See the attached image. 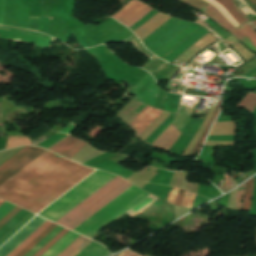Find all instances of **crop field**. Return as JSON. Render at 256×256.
<instances>
[{
	"label": "crop field",
	"mask_w": 256,
	"mask_h": 256,
	"mask_svg": "<svg viewBox=\"0 0 256 256\" xmlns=\"http://www.w3.org/2000/svg\"><path fill=\"white\" fill-rule=\"evenodd\" d=\"M150 201H152V199L147 197L145 200H143L139 205L134 207L132 210L136 211V210L142 208L143 206H145L146 204H148Z\"/></svg>",
	"instance_id": "obj_44"
},
{
	"label": "crop field",
	"mask_w": 256,
	"mask_h": 256,
	"mask_svg": "<svg viewBox=\"0 0 256 256\" xmlns=\"http://www.w3.org/2000/svg\"><path fill=\"white\" fill-rule=\"evenodd\" d=\"M244 188H245V184L241 185L240 187H238L237 190V209L241 210V199L244 193Z\"/></svg>",
	"instance_id": "obj_39"
},
{
	"label": "crop field",
	"mask_w": 256,
	"mask_h": 256,
	"mask_svg": "<svg viewBox=\"0 0 256 256\" xmlns=\"http://www.w3.org/2000/svg\"><path fill=\"white\" fill-rule=\"evenodd\" d=\"M232 120L231 117H217L216 121Z\"/></svg>",
	"instance_id": "obj_48"
},
{
	"label": "crop field",
	"mask_w": 256,
	"mask_h": 256,
	"mask_svg": "<svg viewBox=\"0 0 256 256\" xmlns=\"http://www.w3.org/2000/svg\"><path fill=\"white\" fill-rule=\"evenodd\" d=\"M23 144H31V142L27 139L26 136H9L5 149Z\"/></svg>",
	"instance_id": "obj_28"
},
{
	"label": "crop field",
	"mask_w": 256,
	"mask_h": 256,
	"mask_svg": "<svg viewBox=\"0 0 256 256\" xmlns=\"http://www.w3.org/2000/svg\"><path fill=\"white\" fill-rule=\"evenodd\" d=\"M229 187H230V173L228 172L225 174V187H224L223 193L229 190Z\"/></svg>",
	"instance_id": "obj_43"
},
{
	"label": "crop field",
	"mask_w": 256,
	"mask_h": 256,
	"mask_svg": "<svg viewBox=\"0 0 256 256\" xmlns=\"http://www.w3.org/2000/svg\"><path fill=\"white\" fill-rule=\"evenodd\" d=\"M183 192H184L183 190H180V189H179V191H178V193H177V197H176V200H175V204H174V205H177V206L180 205V201H181V199H182Z\"/></svg>",
	"instance_id": "obj_46"
},
{
	"label": "crop field",
	"mask_w": 256,
	"mask_h": 256,
	"mask_svg": "<svg viewBox=\"0 0 256 256\" xmlns=\"http://www.w3.org/2000/svg\"><path fill=\"white\" fill-rule=\"evenodd\" d=\"M254 186V178L246 182L245 194L243 197L242 210L248 211L252 200V191Z\"/></svg>",
	"instance_id": "obj_23"
},
{
	"label": "crop field",
	"mask_w": 256,
	"mask_h": 256,
	"mask_svg": "<svg viewBox=\"0 0 256 256\" xmlns=\"http://www.w3.org/2000/svg\"><path fill=\"white\" fill-rule=\"evenodd\" d=\"M39 19H40V17H30L28 28L37 30L38 24H39Z\"/></svg>",
	"instance_id": "obj_40"
},
{
	"label": "crop field",
	"mask_w": 256,
	"mask_h": 256,
	"mask_svg": "<svg viewBox=\"0 0 256 256\" xmlns=\"http://www.w3.org/2000/svg\"><path fill=\"white\" fill-rule=\"evenodd\" d=\"M4 203V201L0 200V205H2ZM14 207V205L9 204L7 202H5L2 206H0V219L12 208ZM10 212V211H9Z\"/></svg>",
	"instance_id": "obj_37"
},
{
	"label": "crop field",
	"mask_w": 256,
	"mask_h": 256,
	"mask_svg": "<svg viewBox=\"0 0 256 256\" xmlns=\"http://www.w3.org/2000/svg\"><path fill=\"white\" fill-rule=\"evenodd\" d=\"M189 24L190 23L184 22L181 20L174 27H172L170 30H168L165 34H163L161 37H159L153 44H151L150 46H148L146 48L153 53L154 51H156L158 48H160L169 39H171L174 35H176L178 32H180L182 29H184Z\"/></svg>",
	"instance_id": "obj_14"
},
{
	"label": "crop field",
	"mask_w": 256,
	"mask_h": 256,
	"mask_svg": "<svg viewBox=\"0 0 256 256\" xmlns=\"http://www.w3.org/2000/svg\"><path fill=\"white\" fill-rule=\"evenodd\" d=\"M147 195V193L132 185L118 197L104 206L101 210L91 216L88 220L74 229V231L87 237H91L100 228L131 208Z\"/></svg>",
	"instance_id": "obj_3"
},
{
	"label": "crop field",
	"mask_w": 256,
	"mask_h": 256,
	"mask_svg": "<svg viewBox=\"0 0 256 256\" xmlns=\"http://www.w3.org/2000/svg\"><path fill=\"white\" fill-rule=\"evenodd\" d=\"M219 105H220V101L218 100L212 118L210 119L209 123L207 124V126H206V128H205V130H204V132H203V134H202V136H201V138H200L199 141L196 143V145L194 146V148L192 149V151L189 153V155H195V154L198 152L201 143L203 142V140H204V138H205V136H206V134H207V132H208V130H209L211 124H212V122L214 121V119H215V117H216V115H217V113H218Z\"/></svg>",
	"instance_id": "obj_24"
},
{
	"label": "crop field",
	"mask_w": 256,
	"mask_h": 256,
	"mask_svg": "<svg viewBox=\"0 0 256 256\" xmlns=\"http://www.w3.org/2000/svg\"><path fill=\"white\" fill-rule=\"evenodd\" d=\"M208 32L209 31L202 27L199 28L197 31L184 39L176 48H174L172 51L162 57V59L172 63L179 55H181L186 49H188L191 45H193L197 40H199Z\"/></svg>",
	"instance_id": "obj_11"
},
{
	"label": "crop field",
	"mask_w": 256,
	"mask_h": 256,
	"mask_svg": "<svg viewBox=\"0 0 256 256\" xmlns=\"http://www.w3.org/2000/svg\"><path fill=\"white\" fill-rule=\"evenodd\" d=\"M129 186L128 181L116 176L56 223L73 230Z\"/></svg>",
	"instance_id": "obj_2"
},
{
	"label": "crop field",
	"mask_w": 256,
	"mask_h": 256,
	"mask_svg": "<svg viewBox=\"0 0 256 256\" xmlns=\"http://www.w3.org/2000/svg\"><path fill=\"white\" fill-rule=\"evenodd\" d=\"M161 113V110L149 106L143 109L129 125L136 137L138 138Z\"/></svg>",
	"instance_id": "obj_10"
},
{
	"label": "crop field",
	"mask_w": 256,
	"mask_h": 256,
	"mask_svg": "<svg viewBox=\"0 0 256 256\" xmlns=\"http://www.w3.org/2000/svg\"><path fill=\"white\" fill-rule=\"evenodd\" d=\"M253 4L256 3V0H250Z\"/></svg>",
	"instance_id": "obj_50"
},
{
	"label": "crop field",
	"mask_w": 256,
	"mask_h": 256,
	"mask_svg": "<svg viewBox=\"0 0 256 256\" xmlns=\"http://www.w3.org/2000/svg\"><path fill=\"white\" fill-rule=\"evenodd\" d=\"M178 21V19L170 18L164 24H162L157 30H155L152 34L147 36L142 40L143 45L146 47L149 44L153 43L159 36L165 33L168 29L174 26Z\"/></svg>",
	"instance_id": "obj_15"
},
{
	"label": "crop field",
	"mask_w": 256,
	"mask_h": 256,
	"mask_svg": "<svg viewBox=\"0 0 256 256\" xmlns=\"http://www.w3.org/2000/svg\"><path fill=\"white\" fill-rule=\"evenodd\" d=\"M57 224L52 223L46 228L37 238H35L27 247H25L17 256H23L26 254L34 245H36L43 237H45Z\"/></svg>",
	"instance_id": "obj_26"
},
{
	"label": "crop field",
	"mask_w": 256,
	"mask_h": 256,
	"mask_svg": "<svg viewBox=\"0 0 256 256\" xmlns=\"http://www.w3.org/2000/svg\"><path fill=\"white\" fill-rule=\"evenodd\" d=\"M76 233L69 232L66 234L62 239H60L55 245H53L47 252H45L42 256H51L53 255L58 249H60L66 242H68ZM80 235H76L73 237L67 244H65L60 250H58L53 256H57L60 252H62L68 245H70L76 238Z\"/></svg>",
	"instance_id": "obj_16"
},
{
	"label": "crop field",
	"mask_w": 256,
	"mask_h": 256,
	"mask_svg": "<svg viewBox=\"0 0 256 256\" xmlns=\"http://www.w3.org/2000/svg\"><path fill=\"white\" fill-rule=\"evenodd\" d=\"M77 141H78V139L69 136V137L65 138L64 140L51 146L48 149L63 156L66 152H68L74 146V144Z\"/></svg>",
	"instance_id": "obj_19"
},
{
	"label": "crop field",
	"mask_w": 256,
	"mask_h": 256,
	"mask_svg": "<svg viewBox=\"0 0 256 256\" xmlns=\"http://www.w3.org/2000/svg\"><path fill=\"white\" fill-rule=\"evenodd\" d=\"M236 135L230 136H208L207 140L212 141H234Z\"/></svg>",
	"instance_id": "obj_38"
},
{
	"label": "crop field",
	"mask_w": 256,
	"mask_h": 256,
	"mask_svg": "<svg viewBox=\"0 0 256 256\" xmlns=\"http://www.w3.org/2000/svg\"><path fill=\"white\" fill-rule=\"evenodd\" d=\"M180 134L181 133L170 124L151 145L168 150Z\"/></svg>",
	"instance_id": "obj_13"
},
{
	"label": "crop field",
	"mask_w": 256,
	"mask_h": 256,
	"mask_svg": "<svg viewBox=\"0 0 256 256\" xmlns=\"http://www.w3.org/2000/svg\"><path fill=\"white\" fill-rule=\"evenodd\" d=\"M158 11L151 10L149 13H147L143 18H141L138 22H136L134 25L129 27L132 31L136 30L138 27H140L142 24H144L147 20H149L153 15H155Z\"/></svg>",
	"instance_id": "obj_32"
},
{
	"label": "crop field",
	"mask_w": 256,
	"mask_h": 256,
	"mask_svg": "<svg viewBox=\"0 0 256 256\" xmlns=\"http://www.w3.org/2000/svg\"><path fill=\"white\" fill-rule=\"evenodd\" d=\"M0 37L18 42L35 43L39 47H50L52 38L27 29L0 26Z\"/></svg>",
	"instance_id": "obj_7"
},
{
	"label": "crop field",
	"mask_w": 256,
	"mask_h": 256,
	"mask_svg": "<svg viewBox=\"0 0 256 256\" xmlns=\"http://www.w3.org/2000/svg\"><path fill=\"white\" fill-rule=\"evenodd\" d=\"M208 9H206V8ZM204 8L200 9L203 13L207 14L208 16H210L212 19H214L215 21H217L220 25H222L224 28L228 29L229 31H231L234 35H236L241 41L245 42L249 39H251L252 41H254L256 43V32L254 31L256 29V21H252V22H247V24L249 26H251L252 28H250L246 23L243 24L242 26L239 27V29L236 31L221 15L220 13L214 9L212 6H210L209 4L206 5ZM215 13L217 16L212 15L211 13ZM206 15V16H207ZM236 37V38H237ZM237 38V39H238ZM238 39V40H239ZM251 40L243 43L245 45H247L248 47H250L253 51L256 52V44L255 46L253 45L254 42H252Z\"/></svg>",
	"instance_id": "obj_6"
},
{
	"label": "crop field",
	"mask_w": 256,
	"mask_h": 256,
	"mask_svg": "<svg viewBox=\"0 0 256 256\" xmlns=\"http://www.w3.org/2000/svg\"><path fill=\"white\" fill-rule=\"evenodd\" d=\"M209 4L213 5L221 14L222 16L235 28L239 26L236 20L229 14V12L218 2L215 0H205ZM243 12L245 15L251 13L253 16L256 15L250 7L246 4L244 0H232Z\"/></svg>",
	"instance_id": "obj_12"
},
{
	"label": "crop field",
	"mask_w": 256,
	"mask_h": 256,
	"mask_svg": "<svg viewBox=\"0 0 256 256\" xmlns=\"http://www.w3.org/2000/svg\"><path fill=\"white\" fill-rule=\"evenodd\" d=\"M123 43H129V44H133L136 49L141 52L143 55H145L147 58L149 56H151L152 54L149 53L144 47L143 45L140 43V41L135 38L133 35L128 37L127 39H125L124 41H122Z\"/></svg>",
	"instance_id": "obj_29"
},
{
	"label": "crop field",
	"mask_w": 256,
	"mask_h": 256,
	"mask_svg": "<svg viewBox=\"0 0 256 256\" xmlns=\"http://www.w3.org/2000/svg\"><path fill=\"white\" fill-rule=\"evenodd\" d=\"M87 238L80 236L77 240H75L69 247H67L61 254L58 256H75L80 250L77 248L84 243ZM91 240H87L84 244H82L79 249H83Z\"/></svg>",
	"instance_id": "obj_20"
},
{
	"label": "crop field",
	"mask_w": 256,
	"mask_h": 256,
	"mask_svg": "<svg viewBox=\"0 0 256 256\" xmlns=\"http://www.w3.org/2000/svg\"><path fill=\"white\" fill-rule=\"evenodd\" d=\"M96 172H94L93 174H95ZM92 175H90L89 177H91ZM113 177H115V175H112L104 171H99L90 179L86 178L85 180L87 179L88 180L86 182H84L85 180L82 181L81 183L84 182L82 185H80L81 183L78 184L77 186L80 185L78 188H76L77 186L74 187L73 189L76 188L74 191H72L73 189L70 190L69 192L72 191L70 194H68L69 192H67L65 194V195L68 194L66 197H64L65 195H63L61 197V198L64 197L62 200H60L61 198H59L57 200V201L60 200L58 203H56L57 201H55L53 203V204L56 203L54 206H52L53 204H51L49 206V207L52 206L50 209H48L49 207H47L45 209V210L48 209L46 212H44L45 210H43L41 213L43 212L44 213L41 216H44L55 222L64 214H66L68 211H70L72 208H74L76 205H78L80 202H82L85 198H87L89 195H91L93 192H95L97 189H99L101 186H103L105 183L111 180ZM41 213H39V215Z\"/></svg>",
	"instance_id": "obj_4"
},
{
	"label": "crop field",
	"mask_w": 256,
	"mask_h": 256,
	"mask_svg": "<svg viewBox=\"0 0 256 256\" xmlns=\"http://www.w3.org/2000/svg\"><path fill=\"white\" fill-rule=\"evenodd\" d=\"M48 151L3 186L0 197L38 213L94 169Z\"/></svg>",
	"instance_id": "obj_1"
},
{
	"label": "crop field",
	"mask_w": 256,
	"mask_h": 256,
	"mask_svg": "<svg viewBox=\"0 0 256 256\" xmlns=\"http://www.w3.org/2000/svg\"><path fill=\"white\" fill-rule=\"evenodd\" d=\"M177 190H178L177 188L173 187L172 192L168 193V197H167V201H166L167 203L173 205L174 200H175V196H176V193H177Z\"/></svg>",
	"instance_id": "obj_41"
},
{
	"label": "crop field",
	"mask_w": 256,
	"mask_h": 256,
	"mask_svg": "<svg viewBox=\"0 0 256 256\" xmlns=\"http://www.w3.org/2000/svg\"><path fill=\"white\" fill-rule=\"evenodd\" d=\"M50 16L41 17L38 31L47 34V28L49 24Z\"/></svg>",
	"instance_id": "obj_36"
},
{
	"label": "crop field",
	"mask_w": 256,
	"mask_h": 256,
	"mask_svg": "<svg viewBox=\"0 0 256 256\" xmlns=\"http://www.w3.org/2000/svg\"><path fill=\"white\" fill-rule=\"evenodd\" d=\"M50 224H51V222L47 221L44 225H42L36 232H34L28 239H26L20 246H18L8 256H15L18 252H20L28 243H30L37 235H39Z\"/></svg>",
	"instance_id": "obj_25"
},
{
	"label": "crop field",
	"mask_w": 256,
	"mask_h": 256,
	"mask_svg": "<svg viewBox=\"0 0 256 256\" xmlns=\"http://www.w3.org/2000/svg\"><path fill=\"white\" fill-rule=\"evenodd\" d=\"M173 120L174 119L169 116L159 125V127L154 131V133L149 138L147 137L148 139H146L144 142L151 144Z\"/></svg>",
	"instance_id": "obj_27"
},
{
	"label": "crop field",
	"mask_w": 256,
	"mask_h": 256,
	"mask_svg": "<svg viewBox=\"0 0 256 256\" xmlns=\"http://www.w3.org/2000/svg\"><path fill=\"white\" fill-rule=\"evenodd\" d=\"M75 129H76V127L70 122L63 129H61L59 132L70 134Z\"/></svg>",
	"instance_id": "obj_42"
},
{
	"label": "crop field",
	"mask_w": 256,
	"mask_h": 256,
	"mask_svg": "<svg viewBox=\"0 0 256 256\" xmlns=\"http://www.w3.org/2000/svg\"><path fill=\"white\" fill-rule=\"evenodd\" d=\"M21 208L15 206L10 212H8L1 220H0V228L8 222L16 213H18Z\"/></svg>",
	"instance_id": "obj_33"
},
{
	"label": "crop field",
	"mask_w": 256,
	"mask_h": 256,
	"mask_svg": "<svg viewBox=\"0 0 256 256\" xmlns=\"http://www.w3.org/2000/svg\"><path fill=\"white\" fill-rule=\"evenodd\" d=\"M46 220L36 216L24 228H22L14 237L0 248V256H7L35 230H37Z\"/></svg>",
	"instance_id": "obj_9"
},
{
	"label": "crop field",
	"mask_w": 256,
	"mask_h": 256,
	"mask_svg": "<svg viewBox=\"0 0 256 256\" xmlns=\"http://www.w3.org/2000/svg\"><path fill=\"white\" fill-rule=\"evenodd\" d=\"M194 197H195V194H192V193H189V192L186 191L184 196H183L181 206L191 207Z\"/></svg>",
	"instance_id": "obj_35"
},
{
	"label": "crop field",
	"mask_w": 256,
	"mask_h": 256,
	"mask_svg": "<svg viewBox=\"0 0 256 256\" xmlns=\"http://www.w3.org/2000/svg\"><path fill=\"white\" fill-rule=\"evenodd\" d=\"M221 3L241 25L248 21L247 17L231 0H216Z\"/></svg>",
	"instance_id": "obj_18"
},
{
	"label": "crop field",
	"mask_w": 256,
	"mask_h": 256,
	"mask_svg": "<svg viewBox=\"0 0 256 256\" xmlns=\"http://www.w3.org/2000/svg\"><path fill=\"white\" fill-rule=\"evenodd\" d=\"M108 255H110V252H108L105 249V247L92 241L88 246H86L76 256H108Z\"/></svg>",
	"instance_id": "obj_17"
},
{
	"label": "crop field",
	"mask_w": 256,
	"mask_h": 256,
	"mask_svg": "<svg viewBox=\"0 0 256 256\" xmlns=\"http://www.w3.org/2000/svg\"><path fill=\"white\" fill-rule=\"evenodd\" d=\"M86 144V142H83L81 140H79L76 145L68 152L64 155V157L70 159L73 155H75L84 145Z\"/></svg>",
	"instance_id": "obj_34"
},
{
	"label": "crop field",
	"mask_w": 256,
	"mask_h": 256,
	"mask_svg": "<svg viewBox=\"0 0 256 256\" xmlns=\"http://www.w3.org/2000/svg\"><path fill=\"white\" fill-rule=\"evenodd\" d=\"M61 133L56 132L55 134H53L51 137L47 138L46 140L42 141L41 143L38 144V146H41L43 144H45L46 142L52 140L53 138L57 137L58 135H60ZM67 135L62 134L60 136H58L57 138L53 139L52 141L48 142L47 144L43 145L42 147L47 148L53 144H55L56 142L60 141L61 139H63L64 137H66Z\"/></svg>",
	"instance_id": "obj_31"
},
{
	"label": "crop field",
	"mask_w": 256,
	"mask_h": 256,
	"mask_svg": "<svg viewBox=\"0 0 256 256\" xmlns=\"http://www.w3.org/2000/svg\"><path fill=\"white\" fill-rule=\"evenodd\" d=\"M69 230L64 229L60 233H58L51 241H49L42 249H40L34 256H40L47 249H49L55 242H57L64 234H66Z\"/></svg>",
	"instance_id": "obj_30"
},
{
	"label": "crop field",
	"mask_w": 256,
	"mask_h": 256,
	"mask_svg": "<svg viewBox=\"0 0 256 256\" xmlns=\"http://www.w3.org/2000/svg\"><path fill=\"white\" fill-rule=\"evenodd\" d=\"M192 139L191 136L183 135L181 134L177 140L174 142V144L171 146L169 151L176 153L181 156L183 150L186 148V146L189 144L190 140Z\"/></svg>",
	"instance_id": "obj_21"
},
{
	"label": "crop field",
	"mask_w": 256,
	"mask_h": 256,
	"mask_svg": "<svg viewBox=\"0 0 256 256\" xmlns=\"http://www.w3.org/2000/svg\"><path fill=\"white\" fill-rule=\"evenodd\" d=\"M4 9H5V0H2L1 11H0V24L2 23V19H3V15H4Z\"/></svg>",
	"instance_id": "obj_47"
},
{
	"label": "crop field",
	"mask_w": 256,
	"mask_h": 256,
	"mask_svg": "<svg viewBox=\"0 0 256 256\" xmlns=\"http://www.w3.org/2000/svg\"><path fill=\"white\" fill-rule=\"evenodd\" d=\"M255 69H256V66H255L253 69L247 71L243 76L246 77L250 72H252V71L255 70Z\"/></svg>",
	"instance_id": "obj_49"
},
{
	"label": "crop field",
	"mask_w": 256,
	"mask_h": 256,
	"mask_svg": "<svg viewBox=\"0 0 256 256\" xmlns=\"http://www.w3.org/2000/svg\"><path fill=\"white\" fill-rule=\"evenodd\" d=\"M127 250H125V251H123V252H121V253H119V254H117V255H114V256H121L124 252H126ZM122 256H141V255H139V254H136V253H134V252H132V251H130V250H128L126 253H124Z\"/></svg>",
	"instance_id": "obj_45"
},
{
	"label": "crop field",
	"mask_w": 256,
	"mask_h": 256,
	"mask_svg": "<svg viewBox=\"0 0 256 256\" xmlns=\"http://www.w3.org/2000/svg\"><path fill=\"white\" fill-rule=\"evenodd\" d=\"M47 150L26 146L0 166V186L43 155Z\"/></svg>",
	"instance_id": "obj_5"
},
{
	"label": "crop field",
	"mask_w": 256,
	"mask_h": 256,
	"mask_svg": "<svg viewBox=\"0 0 256 256\" xmlns=\"http://www.w3.org/2000/svg\"><path fill=\"white\" fill-rule=\"evenodd\" d=\"M62 229L63 227L58 225L24 256H33L41 247H43L51 238H53Z\"/></svg>",
	"instance_id": "obj_22"
},
{
	"label": "crop field",
	"mask_w": 256,
	"mask_h": 256,
	"mask_svg": "<svg viewBox=\"0 0 256 256\" xmlns=\"http://www.w3.org/2000/svg\"><path fill=\"white\" fill-rule=\"evenodd\" d=\"M150 7L138 0H131L112 17L129 27L150 11Z\"/></svg>",
	"instance_id": "obj_8"
}]
</instances>
